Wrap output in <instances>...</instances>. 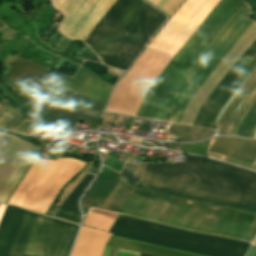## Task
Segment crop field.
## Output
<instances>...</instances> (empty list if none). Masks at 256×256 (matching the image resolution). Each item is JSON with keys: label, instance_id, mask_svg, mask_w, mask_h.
Wrapping results in <instances>:
<instances>
[{"label": "crop field", "instance_id": "crop-field-1", "mask_svg": "<svg viewBox=\"0 0 256 256\" xmlns=\"http://www.w3.org/2000/svg\"><path fill=\"white\" fill-rule=\"evenodd\" d=\"M3 81L31 106L37 129L57 136L80 119L96 122L111 87L88 69L70 79L18 58Z\"/></svg>", "mask_w": 256, "mask_h": 256}, {"label": "crop field", "instance_id": "crop-field-2", "mask_svg": "<svg viewBox=\"0 0 256 256\" xmlns=\"http://www.w3.org/2000/svg\"><path fill=\"white\" fill-rule=\"evenodd\" d=\"M156 192L256 213V173L187 155L176 164L148 163L142 175Z\"/></svg>", "mask_w": 256, "mask_h": 256}, {"label": "crop field", "instance_id": "crop-field-3", "mask_svg": "<svg viewBox=\"0 0 256 256\" xmlns=\"http://www.w3.org/2000/svg\"><path fill=\"white\" fill-rule=\"evenodd\" d=\"M118 213L252 241L256 216L132 189Z\"/></svg>", "mask_w": 256, "mask_h": 256}, {"label": "crop field", "instance_id": "crop-field-4", "mask_svg": "<svg viewBox=\"0 0 256 256\" xmlns=\"http://www.w3.org/2000/svg\"><path fill=\"white\" fill-rule=\"evenodd\" d=\"M250 12L246 6L206 57L201 61L189 78L174 95L162 121L178 123L189 99L225 57L233 45L251 25L244 18ZM243 55V54H242ZM243 57L256 61V39ZM241 57L222 82L201 106L192 125L210 128L215 115L240 81L253 68L256 62ZM242 82V81H241ZM191 100V99H190Z\"/></svg>", "mask_w": 256, "mask_h": 256}, {"label": "crop field", "instance_id": "crop-field-5", "mask_svg": "<svg viewBox=\"0 0 256 256\" xmlns=\"http://www.w3.org/2000/svg\"><path fill=\"white\" fill-rule=\"evenodd\" d=\"M245 5L241 0H220L148 88L135 116L162 120L176 89Z\"/></svg>", "mask_w": 256, "mask_h": 256}, {"label": "crop field", "instance_id": "crop-field-6", "mask_svg": "<svg viewBox=\"0 0 256 256\" xmlns=\"http://www.w3.org/2000/svg\"><path fill=\"white\" fill-rule=\"evenodd\" d=\"M165 18L141 0H117L85 42L104 64L125 70Z\"/></svg>", "mask_w": 256, "mask_h": 256}, {"label": "crop field", "instance_id": "crop-field-7", "mask_svg": "<svg viewBox=\"0 0 256 256\" xmlns=\"http://www.w3.org/2000/svg\"><path fill=\"white\" fill-rule=\"evenodd\" d=\"M77 228L7 206L0 221V256H68Z\"/></svg>", "mask_w": 256, "mask_h": 256}, {"label": "crop field", "instance_id": "crop-field-8", "mask_svg": "<svg viewBox=\"0 0 256 256\" xmlns=\"http://www.w3.org/2000/svg\"><path fill=\"white\" fill-rule=\"evenodd\" d=\"M114 236L204 256H245L249 243L176 229L118 215L109 230Z\"/></svg>", "mask_w": 256, "mask_h": 256}, {"label": "crop field", "instance_id": "crop-field-9", "mask_svg": "<svg viewBox=\"0 0 256 256\" xmlns=\"http://www.w3.org/2000/svg\"><path fill=\"white\" fill-rule=\"evenodd\" d=\"M219 0H186L146 51L171 59Z\"/></svg>", "mask_w": 256, "mask_h": 256}, {"label": "crop field", "instance_id": "crop-field-10", "mask_svg": "<svg viewBox=\"0 0 256 256\" xmlns=\"http://www.w3.org/2000/svg\"><path fill=\"white\" fill-rule=\"evenodd\" d=\"M51 1L54 7L62 11L65 16L59 28L61 33L70 39L81 41H84L94 24L114 2V0Z\"/></svg>", "mask_w": 256, "mask_h": 256}, {"label": "crop field", "instance_id": "crop-field-11", "mask_svg": "<svg viewBox=\"0 0 256 256\" xmlns=\"http://www.w3.org/2000/svg\"><path fill=\"white\" fill-rule=\"evenodd\" d=\"M255 98L256 68L220 111L215 121L219 129L218 134L232 135L240 117Z\"/></svg>", "mask_w": 256, "mask_h": 256}, {"label": "crop field", "instance_id": "crop-field-12", "mask_svg": "<svg viewBox=\"0 0 256 256\" xmlns=\"http://www.w3.org/2000/svg\"><path fill=\"white\" fill-rule=\"evenodd\" d=\"M209 152L254 164L256 160V141L217 137Z\"/></svg>", "mask_w": 256, "mask_h": 256}, {"label": "crop field", "instance_id": "crop-field-13", "mask_svg": "<svg viewBox=\"0 0 256 256\" xmlns=\"http://www.w3.org/2000/svg\"><path fill=\"white\" fill-rule=\"evenodd\" d=\"M142 167L143 164L133 165L126 163L117 183L106 197L100 208L116 212L123 200L131 191Z\"/></svg>", "mask_w": 256, "mask_h": 256}, {"label": "crop field", "instance_id": "crop-field-14", "mask_svg": "<svg viewBox=\"0 0 256 256\" xmlns=\"http://www.w3.org/2000/svg\"><path fill=\"white\" fill-rule=\"evenodd\" d=\"M110 235L82 226L72 256H101Z\"/></svg>", "mask_w": 256, "mask_h": 256}, {"label": "crop field", "instance_id": "crop-field-15", "mask_svg": "<svg viewBox=\"0 0 256 256\" xmlns=\"http://www.w3.org/2000/svg\"><path fill=\"white\" fill-rule=\"evenodd\" d=\"M107 245L122 248V249H127V250L138 251V252H142V253H146L154 256H199L195 254H190L186 252H181L177 250H172L168 248H163V247L136 242L132 240H127L123 238H118L114 236H111Z\"/></svg>", "mask_w": 256, "mask_h": 256}, {"label": "crop field", "instance_id": "crop-field-16", "mask_svg": "<svg viewBox=\"0 0 256 256\" xmlns=\"http://www.w3.org/2000/svg\"><path fill=\"white\" fill-rule=\"evenodd\" d=\"M92 178L93 177L88 173L86 174V176L81 180V182L59 207L54 217L76 223L80 222V212L78 210L76 200Z\"/></svg>", "mask_w": 256, "mask_h": 256}, {"label": "crop field", "instance_id": "crop-field-17", "mask_svg": "<svg viewBox=\"0 0 256 256\" xmlns=\"http://www.w3.org/2000/svg\"><path fill=\"white\" fill-rule=\"evenodd\" d=\"M40 148L30 145L24 156L22 157L21 161L3 186L2 190L0 191V203L5 204L8 197L16 187L17 183L25 173L26 169L34 159L35 155L39 151Z\"/></svg>", "mask_w": 256, "mask_h": 256}, {"label": "crop field", "instance_id": "crop-field-18", "mask_svg": "<svg viewBox=\"0 0 256 256\" xmlns=\"http://www.w3.org/2000/svg\"><path fill=\"white\" fill-rule=\"evenodd\" d=\"M255 133H256V99L241 117L233 135L253 138Z\"/></svg>", "mask_w": 256, "mask_h": 256}, {"label": "crop field", "instance_id": "crop-field-19", "mask_svg": "<svg viewBox=\"0 0 256 256\" xmlns=\"http://www.w3.org/2000/svg\"><path fill=\"white\" fill-rule=\"evenodd\" d=\"M116 216V213L92 209L83 225L108 232Z\"/></svg>", "mask_w": 256, "mask_h": 256}, {"label": "crop field", "instance_id": "crop-field-20", "mask_svg": "<svg viewBox=\"0 0 256 256\" xmlns=\"http://www.w3.org/2000/svg\"><path fill=\"white\" fill-rule=\"evenodd\" d=\"M168 132L178 135L180 137V141H195L215 133V131L212 130L198 129L180 125H174L173 128L170 127Z\"/></svg>", "mask_w": 256, "mask_h": 256}, {"label": "crop field", "instance_id": "crop-field-21", "mask_svg": "<svg viewBox=\"0 0 256 256\" xmlns=\"http://www.w3.org/2000/svg\"><path fill=\"white\" fill-rule=\"evenodd\" d=\"M8 104L0 111V127L15 131L25 120Z\"/></svg>", "mask_w": 256, "mask_h": 256}, {"label": "crop field", "instance_id": "crop-field-22", "mask_svg": "<svg viewBox=\"0 0 256 256\" xmlns=\"http://www.w3.org/2000/svg\"><path fill=\"white\" fill-rule=\"evenodd\" d=\"M148 2H150L151 4L155 5L156 7L160 8L161 10L165 11L168 14H172L173 11L179 6V4L183 1V0H146ZM145 1V2H146ZM147 2V3H148ZM148 3V4H150ZM150 4V5H151ZM152 5V6H153ZM153 6V7H155ZM155 7V8H156ZM156 8V9H158ZM160 9H158L159 11H161ZM161 11L162 13L166 14L165 12ZM175 12V11H174ZM166 14L167 16H170Z\"/></svg>", "mask_w": 256, "mask_h": 256}, {"label": "crop field", "instance_id": "crop-field-23", "mask_svg": "<svg viewBox=\"0 0 256 256\" xmlns=\"http://www.w3.org/2000/svg\"><path fill=\"white\" fill-rule=\"evenodd\" d=\"M39 123L31 120V119H26L21 126L16 130L17 132L25 133V134H30L32 129L36 127Z\"/></svg>", "mask_w": 256, "mask_h": 256}, {"label": "crop field", "instance_id": "crop-field-24", "mask_svg": "<svg viewBox=\"0 0 256 256\" xmlns=\"http://www.w3.org/2000/svg\"><path fill=\"white\" fill-rule=\"evenodd\" d=\"M139 254L140 253H135V252L120 249L117 256H139Z\"/></svg>", "mask_w": 256, "mask_h": 256}, {"label": "crop field", "instance_id": "crop-field-25", "mask_svg": "<svg viewBox=\"0 0 256 256\" xmlns=\"http://www.w3.org/2000/svg\"><path fill=\"white\" fill-rule=\"evenodd\" d=\"M123 164H124V161L118 160L113 170L119 172L121 170Z\"/></svg>", "mask_w": 256, "mask_h": 256}, {"label": "crop field", "instance_id": "crop-field-26", "mask_svg": "<svg viewBox=\"0 0 256 256\" xmlns=\"http://www.w3.org/2000/svg\"><path fill=\"white\" fill-rule=\"evenodd\" d=\"M111 248H112V247L106 246L102 256H109V253H110V251H111Z\"/></svg>", "mask_w": 256, "mask_h": 256}, {"label": "crop field", "instance_id": "crop-field-27", "mask_svg": "<svg viewBox=\"0 0 256 256\" xmlns=\"http://www.w3.org/2000/svg\"><path fill=\"white\" fill-rule=\"evenodd\" d=\"M255 247H256L255 245H252V246H251V248H250V250H249V252H248L247 256H252V254H253V252H254Z\"/></svg>", "mask_w": 256, "mask_h": 256}, {"label": "crop field", "instance_id": "crop-field-28", "mask_svg": "<svg viewBox=\"0 0 256 256\" xmlns=\"http://www.w3.org/2000/svg\"><path fill=\"white\" fill-rule=\"evenodd\" d=\"M118 250H119V249H117V248H112V251H111L110 256H116L117 253H118Z\"/></svg>", "mask_w": 256, "mask_h": 256}, {"label": "crop field", "instance_id": "crop-field-29", "mask_svg": "<svg viewBox=\"0 0 256 256\" xmlns=\"http://www.w3.org/2000/svg\"><path fill=\"white\" fill-rule=\"evenodd\" d=\"M6 206L0 205V219Z\"/></svg>", "mask_w": 256, "mask_h": 256}, {"label": "crop field", "instance_id": "crop-field-30", "mask_svg": "<svg viewBox=\"0 0 256 256\" xmlns=\"http://www.w3.org/2000/svg\"><path fill=\"white\" fill-rule=\"evenodd\" d=\"M253 256H256V249H255V252H254Z\"/></svg>", "mask_w": 256, "mask_h": 256}, {"label": "crop field", "instance_id": "crop-field-31", "mask_svg": "<svg viewBox=\"0 0 256 256\" xmlns=\"http://www.w3.org/2000/svg\"><path fill=\"white\" fill-rule=\"evenodd\" d=\"M140 256H149V255L140 254Z\"/></svg>", "mask_w": 256, "mask_h": 256}, {"label": "crop field", "instance_id": "crop-field-32", "mask_svg": "<svg viewBox=\"0 0 256 256\" xmlns=\"http://www.w3.org/2000/svg\"><path fill=\"white\" fill-rule=\"evenodd\" d=\"M254 138H256V135H255V137Z\"/></svg>", "mask_w": 256, "mask_h": 256}, {"label": "crop field", "instance_id": "crop-field-33", "mask_svg": "<svg viewBox=\"0 0 256 256\" xmlns=\"http://www.w3.org/2000/svg\"><path fill=\"white\" fill-rule=\"evenodd\" d=\"M145 1V0H144Z\"/></svg>", "mask_w": 256, "mask_h": 256}]
</instances>
